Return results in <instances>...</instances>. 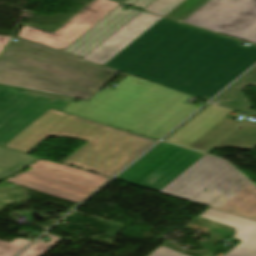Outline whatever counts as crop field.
Returning <instances> with one entry per match:
<instances>
[{
    "instance_id": "cbeb9de0",
    "label": "crop field",
    "mask_w": 256,
    "mask_h": 256,
    "mask_svg": "<svg viewBox=\"0 0 256 256\" xmlns=\"http://www.w3.org/2000/svg\"><path fill=\"white\" fill-rule=\"evenodd\" d=\"M92 27L93 26L88 23L83 26L74 23L63 31V35L61 37H58L24 25L22 31L18 35L34 42L63 51L78 37Z\"/></svg>"
},
{
    "instance_id": "d8731c3e",
    "label": "crop field",
    "mask_w": 256,
    "mask_h": 256,
    "mask_svg": "<svg viewBox=\"0 0 256 256\" xmlns=\"http://www.w3.org/2000/svg\"><path fill=\"white\" fill-rule=\"evenodd\" d=\"M203 153L162 142L117 180L159 192Z\"/></svg>"
},
{
    "instance_id": "5142ce71",
    "label": "crop field",
    "mask_w": 256,
    "mask_h": 256,
    "mask_svg": "<svg viewBox=\"0 0 256 256\" xmlns=\"http://www.w3.org/2000/svg\"><path fill=\"white\" fill-rule=\"evenodd\" d=\"M248 84L256 86V68L234 87L216 99L214 103L256 115L255 111L248 109L251 107V103L241 91Z\"/></svg>"
},
{
    "instance_id": "92a150f3",
    "label": "crop field",
    "mask_w": 256,
    "mask_h": 256,
    "mask_svg": "<svg viewBox=\"0 0 256 256\" xmlns=\"http://www.w3.org/2000/svg\"><path fill=\"white\" fill-rule=\"evenodd\" d=\"M150 256H187V255L176 252L167 246H163L160 249L156 250L154 253H152Z\"/></svg>"
},
{
    "instance_id": "412701ff",
    "label": "crop field",
    "mask_w": 256,
    "mask_h": 256,
    "mask_svg": "<svg viewBox=\"0 0 256 256\" xmlns=\"http://www.w3.org/2000/svg\"><path fill=\"white\" fill-rule=\"evenodd\" d=\"M119 84L65 111L160 139L198 109L183 103L190 96L134 77Z\"/></svg>"
},
{
    "instance_id": "bc2a9ffb",
    "label": "crop field",
    "mask_w": 256,
    "mask_h": 256,
    "mask_svg": "<svg viewBox=\"0 0 256 256\" xmlns=\"http://www.w3.org/2000/svg\"><path fill=\"white\" fill-rule=\"evenodd\" d=\"M30 242L32 241L21 238L11 243L0 241V256H14Z\"/></svg>"
},
{
    "instance_id": "5a996713",
    "label": "crop field",
    "mask_w": 256,
    "mask_h": 256,
    "mask_svg": "<svg viewBox=\"0 0 256 256\" xmlns=\"http://www.w3.org/2000/svg\"><path fill=\"white\" fill-rule=\"evenodd\" d=\"M16 87L0 85V145L3 146L50 107L63 109L73 99L39 92H17Z\"/></svg>"
},
{
    "instance_id": "8a807250",
    "label": "crop field",
    "mask_w": 256,
    "mask_h": 256,
    "mask_svg": "<svg viewBox=\"0 0 256 256\" xmlns=\"http://www.w3.org/2000/svg\"><path fill=\"white\" fill-rule=\"evenodd\" d=\"M163 18L105 66L209 100L256 63V46Z\"/></svg>"
},
{
    "instance_id": "e52e79f7",
    "label": "crop field",
    "mask_w": 256,
    "mask_h": 256,
    "mask_svg": "<svg viewBox=\"0 0 256 256\" xmlns=\"http://www.w3.org/2000/svg\"><path fill=\"white\" fill-rule=\"evenodd\" d=\"M29 167L32 168L30 171L5 181L77 203L109 180V178L44 159Z\"/></svg>"
},
{
    "instance_id": "f4fd0767",
    "label": "crop field",
    "mask_w": 256,
    "mask_h": 256,
    "mask_svg": "<svg viewBox=\"0 0 256 256\" xmlns=\"http://www.w3.org/2000/svg\"><path fill=\"white\" fill-rule=\"evenodd\" d=\"M160 193L256 220V187L213 156L202 157Z\"/></svg>"
},
{
    "instance_id": "3316defc",
    "label": "crop field",
    "mask_w": 256,
    "mask_h": 256,
    "mask_svg": "<svg viewBox=\"0 0 256 256\" xmlns=\"http://www.w3.org/2000/svg\"><path fill=\"white\" fill-rule=\"evenodd\" d=\"M185 22L256 43V0H210Z\"/></svg>"
},
{
    "instance_id": "ac0d7876",
    "label": "crop field",
    "mask_w": 256,
    "mask_h": 256,
    "mask_svg": "<svg viewBox=\"0 0 256 256\" xmlns=\"http://www.w3.org/2000/svg\"><path fill=\"white\" fill-rule=\"evenodd\" d=\"M49 136L87 141L62 164L109 177L155 142L50 108L4 146L28 153Z\"/></svg>"
},
{
    "instance_id": "d1516ede",
    "label": "crop field",
    "mask_w": 256,
    "mask_h": 256,
    "mask_svg": "<svg viewBox=\"0 0 256 256\" xmlns=\"http://www.w3.org/2000/svg\"><path fill=\"white\" fill-rule=\"evenodd\" d=\"M124 6V4H121L92 29L78 38L63 52L83 58L139 12H141V10L131 7L122 9Z\"/></svg>"
},
{
    "instance_id": "214f88e0",
    "label": "crop field",
    "mask_w": 256,
    "mask_h": 256,
    "mask_svg": "<svg viewBox=\"0 0 256 256\" xmlns=\"http://www.w3.org/2000/svg\"><path fill=\"white\" fill-rule=\"evenodd\" d=\"M45 236L53 238L52 241L48 244L37 241L20 256H41L48 249H50L54 244H56L60 239H62V237H58L50 234H47Z\"/></svg>"
},
{
    "instance_id": "d9b57169",
    "label": "crop field",
    "mask_w": 256,
    "mask_h": 256,
    "mask_svg": "<svg viewBox=\"0 0 256 256\" xmlns=\"http://www.w3.org/2000/svg\"><path fill=\"white\" fill-rule=\"evenodd\" d=\"M41 158L0 146V180L28 167Z\"/></svg>"
},
{
    "instance_id": "dd49c442",
    "label": "crop field",
    "mask_w": 256,
    "mask_h": 256,
    "mask_svg": "<svg viewBox=\"0 0 256 256\" xmlns=\"http://www.w3.org/2000/svg\"><path fill=\"white\" fill-rule=\"evenodd\" d=\"M231 111L210 104L166 141L205 153L212 147L254 148L256 124L225 117Z\"/></svg>"
},
{
    "instance_id": "00972430",
    "label": "crop field",
    "mask_w": 256,
    "mask_h": 256,
    "mask_svg": "<svg viewBox=\"0 0 256 256\" xmlns=\"http://www.w3.org/2000/svg\"><path fill=\"white\" fill-rule=\"evenodd\" d=\"M10 37L0 36V52L5 48Z\"/></svg>"
},
{
    "instance_id": "a9b5d70f",
    "label": "crop field",
    "mask_w": 256,
    "mask_h": 256,
    "mask_svg": "<svg viewBox=\"0 0 256 256\" xmlns=\"http://www.w3.org/2000/svg\"><path fill=\"white\" fill-rule=\"evenodd\" d=\"M214 150H215V149L212 148V149L208 152V154H210V153H211L212 151H214Z\"/></svg>"
},
{
    "instance_id": "34b2d1b8",
    "label": "crop field",
    "mask_w": 256,
    "mask_h": 256,
    "mask_svg": "<svg viewBox=\"0 0 256 256\" xmlns=\"http://www.w3.org/2000/svg\"><path fill=\"white\" fill-rule=\"evenodd\" d=\"M0 56V84L88 100L119 71L22 39Z\"/></svg>"
},
{
    "instance_id": "28ad6ade",
    "label": "crop field",
    "mask_w": 256,
    "mask_h": 256,
    "mask_svg": "<svg viewBox=\"0 0 256 256\" xmlns=\"http://www.w3.org/2000/svg\"><path fill=\"white\" fill-rule=\"evenodd\" d=\"M184 0H155L84 59L104 65Z\"/></svg>"
},
{
    "instance_id": "22f410ed",
    "label": "crop field",
    "mask_w": 256,
    "mask_h": 256,
    "mask_svg": "<svg viewBox=\"0 0 256 256\" xmlns=\"http://www.w3.org/2000/svg\"><path fill=\"white\" fill-rule=\"evenodd\" d=\"M199 217L232 227L242 242L225 256H256V221L210 208Z\"/></svg>"
},
{
    "instance_id": "4177f3b9",
    "label": "crop field",
    "mask_w": 256,
    "mask_h": 256,
    "mask_svg": "<svg viewBox=\"0 0 256 256\" xmlns=\"http://www.w3.org/2000/svg\"><path fill=\"white\" fill-rule=\"evenodd\" d=\"M116 1H119V2H121V3H122V2H123V1H125V0H116Z\"/></svg>"
},
{
    "instance_id": "4a817a6b",
    "label": "crop field",
    "mask_w": 256,
    "mask_h": 256,
    "mask_svg": "<svg viewBox=\"0 0 256 256\" xmlns=\"http://www.w3.org/2000/svg\"><path fill=\"white\" fill-rule=\"evenodd\" d=\"M204 1L205 0H186L166 17L180 21Z\"/></svg>"
},
{
    "instance_id": "733c2abd",
    "label": "crop field",
    "mask_w": 256,
    "mask_h": 256,
    "mask_svg": "<svg viewBox=\"0 0 256 256\" xmlns=\"http://www.w3.org/2000/svg\"><path fill=\"white\" fill-rule=\"evenodd\" d=\"M119 5V3L111 0H94L72 18L71 21L81 25L88 22L94 26Z\"/></svg>"
},
{
    "instance_id": "dafd665d",
    "label": "crop field",
    "mask_w": 256,
    "mask_h": 256,
    "mask_svg": "<svg viewBox=\"0 0 256 256\" xmlns=\"http://www.w3.org/2000/svg\"><path fill=\"white\" fill-rule=\"evenodd\" d=\"M153 1L154 0H126L123 3L144 9L145 7H147Z\"/></svg>"
}]
</instances>
